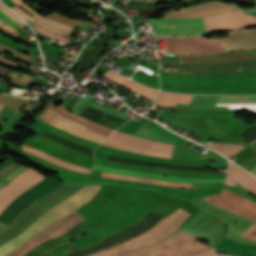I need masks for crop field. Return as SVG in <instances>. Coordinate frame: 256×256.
<instances>
[{
  "label": "crop field",
  "instance_id": "obj_1",
  "mask_svg": "<svg viewBox=\"0 0 256 256\" xmlns=\"http://www.w3.org/2000/svg\"><path fill=\"white\" fill-rule=\"evenodd\" d=\"M155 25L154 32L171 36H198L216 31H233L256 27V18L246 15L242 10L218 16L196 19H148Z\"/></svg>",
  "mask_w": 256,
  "mask_h": 256
},
{
  "label": "crop field",
  "instance_id": "obj_2",
  "mask_svg": "<svg viewBox=\"0 0 256 256\" xmlns=\"http://www.w3.org/2000/svg\"><path fill=\"white\" fill-rule=\"evenodd\" d=\"M230 37L219 38L225 51L239 50L256 47V29L230 32ZM157 36V35H156ZM158 39L164 40V52L170 53H217L223 52L224 49L218 38L206 39L198 38H171L157 36Z\"/></svg>",
  "mask_w": 256,
  "mask_h": 256
},
{
  "label": "crop field",
  "instance_id": "obj_3",
  "mask_svg": "<svg viewBox=\"0 0 256 256\" xmlns=\"http://www.w3.org/2000/svg\"><path fill=\"white\" fill-rule=\"evenodd\" d=\"M100 187L101 186L96 185H85L80 190L64 199L44 215L39 217L32 226L20 235L0 246V256L7 255L13 249L27 241L31 236L37 235L58 219L88 203L100 190Z\"/></svg>",
  "mask_w": 256,
  "mask_h": 256
},
{
  "label": "crop field",
  "instance_id": "obj_4",
  "mask_svg": "<svg viewBox=\"0 0 256 256\" xmlns=\"http://www.w3.org/2000/svg\"><path fill=\"white\" fill-rule=\"evenodd\" d=\"M190 215L191 214L179 208L170 216L162 220L148 233L91 256H116L118 254L160 241L170 236Z\"/></svg>",
  "mask_w": 256,
  "mask_h": 256
},
{
  "label": "crop field",
  "instance_id": "obj_5",
  "mask_svg": "<svg viewBox=\"0 0 256 256\" xmlns=\"http://www.w3.org/2000/svg\"><path fill=\"white\" fill-rule=\"evenodd\" d=\"M190 235L191 234L180 230L171 238L163 240L152 246H148L136 251L124 253L119 256H148L157 252L164 251L170 248L171 246L175 245L176 243L182 241L183 239L187 238ZM199 238L200 237L192 235L187 239L183 240L182 242L171 247L170 249L158 254L151 255V256H183V255L199 252L203 249L209 248V246L196 241Z\"/></svg>",
  "mask_w": 256,
  "mask_h": 256
},
{
  "label": "crop field",
  "instance_id": "obj_6",
  "mask_svg": "<svg viewBox=\"0 0 256 256\" xmlns=\"http://www.w3.org/2000/svg\"><path fill=\"white\" fill-rule=\"evenodd\" d=\"M83 219L85 218L75 211L67 215L66 217L58 220L49 228L26 242L7 256H22L38 244L64 234Z\"/></svg>",
  "mask_w": 256,
  "mask_h": 256
},
{
  "label": "crop field",
  "instance_id": "obj_7",
  "mask_svg": "<svg viewBox=\"0 0 256 256\" xmlns=\"http://www.w3.org/2000/svg\"><path fill=\"white\" fill-rule=\"evenodd\" d=\"M43 177L32 169H27L0 190V214L20 194L41 181Z\"/></svg>",
  "mask_w": 256,
  "mask_h": 256
},
{
  "label": "crop field",
  "instance_id": "obj_8",
  "mask_svg": "<svg viewBox=\"0 0 256 256\" xmlns=\"http://www.w3.org/2000/svg\"><path fill=\"white\" fill-rule=\"evenodd\" d=\"M44 111H47L51 114H53L55 117L72 124L86 132L101 136L106 138L113 130L99 126L97 124H94L92 122H89L85 119H82L68 111H66L63 107L60 105L58 107H54L53 104L47 103Z\"/></svg>",
  "mask_w": 256,
  "mask_h": 256
},
{
  "label": "crop field",
  "instance_id": "obj_9",
  "mask_svg": "<svg viewBox=\"0 0 256 256\" xmlns=\"http://www.w3.org/2000/svg\"><path fill=\"white\" fill-rule=\"evenodd\" d=\"M238 6L217 1L203 3L192 8L180 9L181 12H169L163 18L210 17L224 12L239 10Z\"/></svg>",
  "mask_w": 256,
  "mask_h": 256
},
{
  "label": "crop field",
  "instance_id": "obj_10",
  "mask_svg": "<svg viewBox=\"0 0 256 256\" xmlns=\"http://www.w3.org/2000/svg\"><path fill=\"white\" fill-rule=\"evenodd\" d=\"M181 58V56H180ZM179 58V62H180ZM256 59V49L207 56H182L183 64H218L237 60ZM180 62V63H181Z\"/></svg>",
  "mask_w": 256,
  "mask_h": 256
},
{
  "label": "crop field",
  "instance_id": "obj_11",
  "mask_svg": "<svg viewBox=\"0 0 256 256\" xmlns=\"http://www.w3.org/2000/svg\"><path fill=\"white\" fill-rule=\"evenodd\" d=\"M203 199L232 213H237L243 217L256 221L255 208L228 194H217Z\"/></svg>",
  "mask_w": 256,
  "mask_h": 256
},
{
  "label": "crop field",
  "instance_id": "obj_12",
  "mask_svg": "<svg viewBox=\"0 0 256 256\" xmlns=\"http://www.w3.org/2000/svg\"><path fill=\"white\" fill-rule=\"evenodd\" d=\"M108 139L114 140L120 143H124L130 146L154 150V151H161V152H169L172 153L174 144L168 143H159L139 137L132 136L130 134L122 133L115 131L113 132Z\"/></svg>",
  "mask_w": 256,
  "mask_h": 256
},
{
  "label": "crop field",
  "instance_id": "obj_13",
  "mask_svg": "<svg viewBox=\"0 0 256 256\" xmlns=\"http://www.w3.org/2000/svg\"><path fill=\"white\" fill-rule=\"evenodd\" d=\"M95 170L100 171H106L111 172L115 174H123V175H130V176H136V177H147V178H155V179H161L166 180L170 182H180V183H218L222 184L224 179H186V178H180V177H171V176H163L158 174H148V173H142V172H134V171H127V170H120V169H114L110 167H104L94 164Z\"/></svg>",
  "mask_w": 256,
  "mask_h": 256
},
{
  "label": "crop field",
  "instance_id": "obj_14",
  "mask_svg": "<svg viewBox=\"0 0 256 256\" xmlns=\"http://www.w3.org/2000/svg\"><path fill=\"white\" fill-rule=\"evenodd\" d=\"M143 138L152 139L160 142L188 144L189 141L167 131L163 130L149 122L144 121L137 132L134 134Z\"/></svg>",
  "mask_w": 256,
  "mask_h": 256
},
{
  "label": "crop field",
  "instance_id": "obj_15",
  "mask_svg": "<svg viewBox=\"0 0 256 256\" xmlns=\"http://www.w3.org/2000/svg\"><path fill=\"white\" fill-rule=\"evenodd\" d=\"M234 182L256 195V179L229 162V171L226 175L225 183L232 186Z\"/></svg>",
  "mask_w": 256,
  "mask_h": 256
},
{
  "label": "crop field",
  "instance_id": "obj_16",
  "mask_svg": "<svg viewBox=\"0 0 256 256\" xmlns=\"http://www.w3.org/2000/svg\"><path fill=\"white\" fill-rule=\"evenodd\" d=\"M12 1L15 4H17L18 6H20L22 9H24L26 12H28L29 14H31L32 16L37 18L38 21H37L36 24H38V25H40V26H42V27H44V28H46V29H48L52 32H55V33H58V34H61L65 37H67L69 32L71 30H73L72 27H68V26L63 25L61 23H58L54 20L41 17L35 11L30 9L28 6H26L22 0H12Z\"/></svg>",
  "mask_w": 256,
  "mask_h": 256
},
{
  "label": "crop field",
  "instance_id": "obj_17",
  "mask_svg": "<svg viewBox=\"0 0 256 256\" xmlns=\"http://www.w3.org/2000/svg\"><path fill=\"white\" fill-rule=\"evenodd\" d=\"M104 76H106L107 78L125 86L127 89L131 90V91H135L145 97L151 98V99H155V96L157 94V90L151 89L149 87L143 86L141 84L135 83L133 81H130L120 75L114 74L112 72H107L104 74Z\"/></svg>",
  "mask_w": 256,
  "mask_h": 256
},
{
  "label": "crop field",
  "instance_id": "obj_18",
  "mask_svg": "<svg viewBox=\"0 0 256 256\" xmlns=\"http://www.w3.org/2000/svg\"><path fill=\"white\" fill-rule=\"evenodd\" d=\"M38 118L42 119L43 121L47 122V123H50L54 126H57L65 131H68L70 133H73L75 135H78V136H81L83 138H86V139H89L91 141H94V142H97V143H101L104 138H101V137H98V136H95V135H92V134H89V133H86V132H83L63 121H60L58 119H56L55 117L51 116L50 114L48 113H43L41 116H39Z\"/></svg>",
  "mask_w": 256,
  "mask_h": 256
},
{
  "label": "crop field",
  "instance_id": "obj_19",
  "mask_svg": "<svg viewBox=\"0 0 256 256\" xmlns=\"http://www.w3.org/2000/svg\"><path fill=\"white\" fill-rule=\"evenodd\" d=\"M23 150L24 151H27V152H30V153H33L41 158H44L52 163H55L61 167H64V168H67V169H70V170H74V171H78V172H82V173H85V174H89V169L87 168H84V167H80V166H77V165H74V164H71L69 162H66V161H63L61 159H58V158H55V157H52L42 151H39L37 149H34V148H30V147H27V146H24L23 145Z\"/></svg>",
  "mask_w": 256,
  "mask_h": 256
},
{
  "label": "crop field",
  "instance_id": "obj_20",
  "mask_svg": "<svg viewBox=\"0 0 256 256\" xmlns=\"http://www.w3.org/2000/svg\"><path fill=\"white\" fill-rule=\"evenodd\" d=\"M227 96H220L217 103H224ZM225 103L256 104V96H228ZM221 105V104H217ZM230 108H249L256 112V105H230Z\"/></svg>",
  "mask_w": 256,
  "mask_h": 256
},
{
  "label": "crop field",
  "instance_id": "obj_21",
  "mask_svg": "<svg viewBox=\"0 0 256 256\" xmlns=\"http://www.w3.org/2000/svg\"><path fill=\"white\" fill-rule=\"evenodd\" d=\"M191 96L161 92L157 98V105L175 108L176 102L189 104Z\"/></svg>",
  "mask_w": 256,
  "mask_h": 256
},
{
  "label": "crop field",
  "instance_id": "obj_22",
  "mask_svg": "<svg viewBox=\"0 0 256 256\" xmlns=\"http://www.w3.org/2000/svg\"><path fill=\"white\" fill-rule=\"evenodd\" d=\"M203 145L213 148L229 158L234 154H236L237 152H239L240 150H242L243 148H245L244 146H240L236 144H203Z\"/></svg>",
  "mask_w": 256,
  "mask_h": 256
},
{
  "label": "crop field",
  "instance_id": "obj_23",
  "mask_svg": "<svg viewBox=\"0 0 256 256\" xmlns=\"http://www.w3.org/2000/svg\"><path fill=\"white\" fill-rule=\"evenodd\" d=\"M0 8L10 17L12 18L14 21H16L17 23H19L20 25L24 26L26 25L22 19L15 15L14 13H12L11 11H9L8 9H6L1 3H0ZM2 10H0V19H2L4 22H6L7 24H9L10 26H12L15 29H20L22 26H20L19 24H17L16 22H14L12 19H10Z\"/></svg>",
  "mask_w": 256,
  "mask_h": 256
},
{
  "label": "crop field",
  "instance_id": "obj_24",
  "mask_svg": "<svg viewBox=\"0 0 256 256\" xmlns=\"http://www.w3.org/2000/svg\"><path fill=\"white\" fill-rule=\"evenodd\" d=\"M0 31L11 36L15 40L20 41L17 30L3 23L1 20H0Z\"/></svg>",
  "mask_w": 256,
  "mask_h": 256
},
{
  "label": "crop field",
  "instance_id": "obj_25",
  "mask_svg": "<svg viewBox=\"0 0 256 256\" xmlns=\"http://www.w3.org/2000/svg\"><path fill=\"white\" fill-rule=\"evenodd\" d=\"M130 152H135V153H141V154H146L150 156H159V157H164V158H171L172 154L169 153H161V152H154V151H147V150H142V149H137V148H131Z\"/></svg>",
  "mask_w": 256,
  "mask_h": 256
},
{
  "label": "crop field",
  "instance_id": "obj_26",
  "mask_svg": "<svg viewBox=\"0 0 256 256\" xmlns=\"http://www.w3.org/2000/svg\"><path fill=\"white\" fill-rule=\"evenodd\" d=\"M10 78L14 83L22 84V85H27L33 81V79L26 77L24 75L20 78L19 76L14 74V75H10Z\"/></svg>",
  "mask_w": 256,
  "mask_h": 256
},
{
  "label": "crop field",
  "instance_id": "obj_27",
  "mask_svg": "<svg viewBox=\"0 0 256 256\" xmlns=\"http://www.w3.org/2000/svg\"><path fill=\"white\" fill-rule=\"evenodd\" d=\"M38 33H41V34H43V35L49 36V37L54 38V39H58V40H60V41H62V42H64V43H66V42L68 41V39L63 38V37H61V36H59V35H56V34H54V33H51V32H49V31H47V30H45V29H43V28H41V27H40V29L38 30Z\"/></svg>",
  "mask_w": 256,
  "mask_h": 256
},
{
  "label": "crop field",
  "instance_id": "obj_28",
  "mask_svg": "<svg viewBox=\"0 0 256 256\" xmlns=\"http://www.w3.org/2000/svg\"><path fill=\"white\" fill-rule=\"evenodd\" d=\"M188 256H217V255H216L215 248H209V249L204 250L202 252L195 253V254L188 255Z\"/></svg>",
  "mask_w": 256,
  "mask_h": 256
},
{
  "label": "crop field",
  "instance_id": "obj_29",
  "mask_svg": "<svg viewBox=\"0 0 256 256\" xmlns=\"http://www.w3.org/2000/svg\"><path fill=\"white\" fill-rule=\"evenodd\" d=\"M26 169H27V167H24V166L20 167L18 170H16L10 176H8L6 179H4V181L9 183L10 181H12L14 178H16L19 174H21Z\"/></svg>",
  "mask_w": 256,
  "mask_h": 256
},
{
  "label": "crop field",
  "instance_id": "obj_30",
  "mask_svg": "<svg viewBox=\"0 0 256 256\" xmlns=\"http://www.w3.org/2000/svg\"><path fill=\"white\" fill-rule=\"evenodd\" d=\"M12 9H14L18 14H20L22 17H24L25 19L35 23V19L31 18L27 13H25L24 11H22L20 8H18L17 6L12 7Z\"/></svg>",
  "mask_w": 256,
  "mask_h": 256
},
{
  "label": "crop field",
  "instance_id": "obj_31",
  "mask_svg": "<svg viewBox=\"0 0 256 256\" xmlns=\"http://www.w3.org/2000/svg\"><path fill=\"white\" fill-rule=\"evenodd\" d=\"M0 64L1 65H5V66H9V67H13L15 69H19V65L18 64L13 63L11 61H8V60H6V59H4L2 57H0Z\"/></svg>",
  "mask_w": 256,
  "mask_h": 256
},
{
  "label": "crop field",
  "instance_id": "obj_32",
  "mask_svg": "<svg viewBox=\"0 0 256 256\" xmlns=\"http://www.w3.org/2000/svg\"><path fill=\"white\" fill-rule=\"evenodd\" d=\"M223 192H226V193H228V194H230V195H232V196H234V197H236V198H238V199L243 200L244 202L246 201V202H248V203H250V204L256 206L255 203H253V202L250 201L249 199L244 198V197H242V196H240V195L234 194V193H232V192H230V191H228V190H225V189H223Z\"/></svg>",
  "mask_w": 256,
  "mask_h": 256
},
{
  "label": "crop field",
  "instance_id": "obj_33",
  "mask_svg": "<svg viewBox=\"0 0 256 256\" xmlns=\"http://www.w3.org/2000/svg\"><path fill=\"white\" fill-rule=\"evenodd\" d=\"M242 236L252 240V241H255L256 242V235L252 234V233H249L247 231H245Z\"/></svg>",
  "mask_w": 256,
  "mask_h": 256
},
{
  "label": "crop field",
  "instance_id": "obj_34",
  "mask_svg": "<svg viewBox=\"0 0 256 256\" xmlns=\"http://www.w3.org/2000/svg\"><path fill=\"white\" fill-rule=\"evenodd\" d=\"M248 231L256 234V222L248 229Z\"/></svg>",
  "mask_w": 256,
  "mask_h": 256
},
{
  "label": "crop field",
  "instance_id": "obj_35",
  "mask_svg": "<svg viewBox=\"0 0 256 256\" xmlns=\"http://www.w3.org/2000/svg\"><path fill=\"white\" fill-rule=\"evenodd\" d=\"M7 88H8V87H7L5 84L0 83V90H1V91L6 92Z\"/></svg>",
  "mask_w": 256,
  "mask_h": 256
},
{
  "label": "crop field",
  "instance_id": "obj_36",
  "mask_svg": "<svg viewBox=\"0 0 256 256\" xmlns=\"http://www.w3.org/2000/svg\"><path fill=\"white\" fill-rule=\"evenodd\" d=\"M251 170H253L254 172H256V167L255 168H253V169H251ZM248 171V172H250V173H252L253 175H255L256 176V173H254L253 171Z\"/></svg>",
  "mask_w": 256,
  "mask_h": 256
},
{
  "label": "crop field",
  "instance_id": "obj_37",
  "mask_svg": "<svg viewBox=\"0 0 256 256\" xmlns=\"http://www.w3.org/2000/svg\"><path fill=\"white\" fill-rule=\"evenodd\" d=\"M5 185H6V183L0 181V189H1L2 187H4Z\"/></svg>",
  "mask_w": 256,
  "mask_h": 256
},
{
  "label": "crop field",
  "instance_id": "obj_38",
  "mask_svg": "<svg viewBox=\"0 0 256 256\" xmlns=\"http://www.w3.org/2000/svg\"><path fill=\"white\" fill-rule=\"evenodd\" d=\"M218 256H230V255H224V254H219L217 253Z\"/></svg>",
  "mask_w": 256,
  "mask_h": 256
},
{
  "label": "crop field",
  "instance_id": "obj_39",
  "mask_svg": "<svg viewBox=\"0 0 256 256\" xmlns=\"http://www.w3.org/2000/svg\"><path fill=\"white\" fill-rule=\"evenodd\" d=\"M0 69H2V70H4V71H7V72H9V73H13V72H11V71H9V70H6V69H4V68H0Z\"/></svg>",
  "mask_w": 256,
  "mask_h": 256
},
{
  "label": "crop field",
  "instance_id": "obj_40",
  "mask_svg": "<svg viewBox=\"0 0 256 256\" xmlns=\"http://www.w3.org/2000/svg\"><path fill=\"white\" fill-rule=\"evenodd\" d=\"M157 224H158V223H157ZM157 224H156V225H157ZM156 225H155V226H156ZM155 226H154V227H155ZM151 230H152V229H151ZM147 232H148V231H147ZM145 233H146V232H145ZM142 234H143V233H142ZM136 236H137V235H136ZM132 237H133V236H132ZM130 238H131V237H130ZM128 239H129V238H128ZM126 240H127V239H126ZM124 241H125V240H124ZM122 242H123V241H122ZM120 243H121V242H120ZM118 244H119V243H118ZM111 247H112V246H111ZM106 249H107V248H106Z\"/></svg>",
  "mask_w": 256,
  "mask_h": 256
},
{
  "label": "crop field",
  "instance_id": "obj_41",
  "mask_svg": "<svg viewBox=\"0 0 256 256\" xmlns=\"http://www.w3.org/2000/svg\"><path fill=\"white\" fill-rule=\"evenodd\" d=\"M2 106H3V105H2V104H0V109L2 108Z\"/></svg>",
  "mask_w": 256,
  "mask_h": 256
},
{
  "label": "crop field",
  "instance_id": "obj_42",
  "mask_svg": "<svg viewBox=\"0 0 256 256\" xmlns=\"http://www.w3.org/2000/svg\"><path fill=\"white\" fill-rule=\"evenodd\" d=\"M252 145L256 146V142H255V143H253Z\"/></svg>",
  "mask_w": 256,
  "mask_h": 256
},
{
  "label": "crop field",
  "instance_id": "obj_43",
  "mask_svg": "<svg viewBox=\"0 0 256 256\" xmlns=\"http://www.w3.org/2000/svg\"><path fill=\"white\" fill-rule=\"evenodd\" d=\"M1 82H6V81H4V80H0Z\"/></svg>",
  "mask_w": 256,
  "mask_h": 256
},
{
  "label": "crop field",
  "instance_id": "obj_44",
  "mask_svg": "<svg viewBox=\"0 0 256 256\" xmlns=\"http://www.w3.org/2000/svg\"><path fill=\"white\" fill-rule=\"evenodd\" d=\"M255 142V141H254Z\"/></svg>",
  "mask_w": 256,
  "mask_h": 256
}]
</instances>
